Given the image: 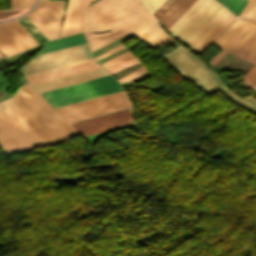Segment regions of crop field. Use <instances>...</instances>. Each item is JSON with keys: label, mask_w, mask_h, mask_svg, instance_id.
I'll return each instance as SVG.
<instances>
[{"label": "crop field", "mask_w": 256, "mask_h": 256, "mask_svg": "<svg viewBox=\"0 0 256 256\" xmlns=\"http://www.w3.org/2000/svg\"><path fill=\"white\" fill-rule=\"evenodd\" d=\"M121 30H119L118 32H120ZM116 32V33H118ZM115 33V34H116ZM86 39H87V42L89 44V46H92L112 35H114L113 33L111 32H104V33H100V34H97V33H84Z\"/></svg>", "instance_id": "crop-field-30"}, {"label": "crop field", "mask_w": 256, "mask_h": 256, "mask_svg": "<svg viewBox=\"0 0 256 256\" xmlns=\"http://www.w3.org/2000/svg\"><path fill=\"white\" fill-rule=\"evenodd\" d=\"M126 34H128V33L123 31V32H121V33H119V34H117V35H115V36H113V37H111V38H109V39H107V40H105V41H103V42L93 46V47H91L90 49H91V51H94V50H96V49H98V48H100V47H102V46H104V45H106V44H108V43H110V42H112V41H114V40H116V39L126 35Z\"/></svg>", "instance_id": "crop-field-37"}, {"label": "crop field", "mask_w": 256, "mask_h": 256, "mask_svg": "<svg viewBox=\"0 0 256 256\" xmlns=\"http://www.w3.org/2000/svg\"><path fill=\"white\" fill-rule=\"evenodd\" d=\"M11 8L32 7L36 0H10Z\"/></svg>", "instance_id": "crop-field-35"}, {"label": "crop field", "mask_w": 256, "mask_h": 256, "mask_svg": "<svg viewBox=\"0 0 256 256\" xmlns=\"http://www.w3.org/2000/svg\"><path fill=\"white\" fill-rule=\"evenodd\" d=\"M38 29L49 39H55L59 34L60 23L40 2L37 8L26 15Z\"/></svg>", "instance_id": "crop-field-13"}, {"label": "crop field", "mask_w": 256, "mask_h": 256, "mask_svg": "<svg viewBox=\"0 0 256 256\" xmlns=\"http://www.w3.org/2000/svg\"><path fill=\"white\" fill-rule=\"evenodd\" d=\"M231 53L256 63V26L237 44Z\"/></svg>", "instance_id": "crop-field-15"}, {"label": "crop field", "mask_w": 256, "mask_h": 256, "mask_svg": "<svg viewBox=\"0 0 256 256\" xmlns=\"http://www.w3.org/2000/svg\"><path fill=\"white\" fill-rule=\"evenodd\" d=\"M163 58L180 76L197 85L208 95L225 86L214 72L209 71L202 61L195 58L182 46L163 56Z\"/></svg>", "instance_id": "crop-field-3"}, {"label": "crop field", "mask_w": 256, "mask_h": 256, "mask_svg": "<svg viewBox=\"0 0 256 256\" xmlns=\"http://www.w3.org/2000/svg\"><path fill=\"white\" fill-rule=\"evenodd\" d=\"M124 47H126V46L121 44V45H119V46H117V47H115V48H113V49H111V50H109V51H107V52H105V53L95 57V58L98 61V60H100V59H102V58H104V57H106V56H108V55H110V54H112V53H114V52L124 48Z\"/></svg>", "instance_id": "crop-field-40"}, {"label": "crop field", "mask_w": 256, "mask_h": 256, "mask_svg": "<svg viewBox=\"0 0 256 256\" xmlns=\"http://www.w3.org/2000/svg\"><path fill=\"white\" fill-rule=\"evenodd\" d=\"M245 22V20L236 19L214 44L221 48Z\"/></svg>", "instance_id": "crop-field-27"}, {"label": "crop field", "mask_w": 256, "mask_h": 256, "mask_svg": "<svg viewBox=\"0 0 256 256\" xmlns=\"http://www.w3.org/2000/svg\"><path fill=\"white\" fill-rule=\"evenodd\" d=\"M195 1L177 0L159 21L169 30Z\"/></svg>", "instance_id": "crop-field-17"}, {"label": "crop field", "mask_w": 256, "mask_h": 256, "mask_svg": "<svg viewBox=\"0 0 256 256\" xmlns=\"http://www.w3.org/2000/svg\"><path fill=\"white\" fill-rule=\"evenodd\" d=\"M124 91L78 102L56 110L68 121H75L98 114L130 107Z\"/></svg>", "instance_id": "crop-field-6"}, {"label": "crop field", "mask_w": 256, "mask_h": 256, "mask_svg": "<svg viewBox=\"0 0 256 256\" xmlns=\"http://www.w3.org/2000/svg\"><path fill=\"white\" fill-rule=\"evenodd\" d=\"M236 19L231 13L222 21V23L204 40V42L195 50L203 54L205 50L224 32V30Z\"/></svg>", "instance_id": "crop-field-21"}, {"label": "crop field", "mask_w": 256, "mask_h": 256, "mask_svg": "<svg viewBox=\"0 0 256 256\" xmlns=\"http://www.w3.org/2000/svg\"><path fill=\"white\" fill-rule=\"evenodd\" d=\"M132 108L70 124L82 136L132 124Z\"/></svg>", "instance_id": "crop-field-10"}, {"label": "crop field", "mask_w": 256, "mask_h": 256, "mask_svg": "<svg viewBox=\"0 0 256 256\" xmlns=\"http://www.w3.org/2000/svg\"><path fill=\"white\" fill-rule=\"evenodd\" d=\"M252 22H256V15H255L254 18L252 19Z\"/></svg>", "instance_id": "crop-field-41"}, {"label": "crop field", "mask_w": 256, "mask_h": 256, "mask_svg": "<svg viewBox=\"0 0 256 256\" xmlns=\"http://www.w3.org/2000/svg\"><path fill=\"white\" fill-rule=\"evenodd\" d=\"M222 8L215 0H197L169 31L188 44Z\"/></svg>", "instance_id": "crop-field-5"}, {"label": "crop field", "mask_w": 256, "mask_h": 256, "mask_svg": "<svg viewBox=\"0 0 256 256\" xmlns=\"http://www.w3.org/2000/svg\"><path fill=\"white\" fill-rule=\"evenodd\" d=\"M7 101L48 145L78 135L30 84L20 87Z\"/></svg>", "instance_id": "crop-field-1"}, {"label": "crop field", "mask_w": 256, "mask_h": 256, "mask_svg": "<svg viewBox=\"0 0 256 256\" xmlns=\"http://www.w3.org/2000/svg\"><path fill=\"white\" fill-rule=\"evenodd\" d=\"M154 22L156 21L149 13V11H147L143 15L135 19L133 22L125 26L122 30L135 36Z\"/></svg>", "instance_id": "crop-field-22"}, {"label": "crop field", "mask_w": 256, "mask_h": 256, "mask_svg": "<svg viewBox=\"0 0 256 256\" xmlns=\"http://www.w3.org/2000/svg\"><path fill=\"white\" fill-rule=\"evenodd\" d=\"M150 75L151 74L147 71V72H145V73H143V74H141V75H139V76H137V77H135V78L125 82V83H123L122 86H123V88H125V87H127V86H129V85H131V84H133V83H135V82H137V81H139V80H141L143 78H146V77H148Z\"/></svg>", "instance_id": "crop-field-39"}, {"label": "crop field", "mask_w": 256, "mask_h": 256, "mask_svg": "<svg viewBox=\"0 0 256 256\" xmlns=\"http://www.w3.org/2000/svg\"><path fill=\"white\" fill-rule=\"evenodd\" d=\"M86 42L82 33L46 42L41 53Z\"/></svg>", "instance_id": "crop-field-20"}, {"label": "crop field", "mask_w": 256, "mask_h": 256, "mask_svg": "<svg viewBox=\"0 0 256 256\" xmlns=\"http://www.w3.org/2000/svg\"><path fill=\"white\" fill-rule=\"evenodd\" d=\"M146 70H147V68L145 66H142V67L134 70L133 72L129 73L128 75L118 79V80L120 81V83H122V82H124V81H126V80H128V79H130V78H132V77H134V76H136V75L146 71Z\"/></svg>", "instance_id": "crop-field-38"}, {"label": "crop field", "mask_w": 256, "mask_h": 256, "mask_svg": "<svg viewBox=\"0 0 256 256\" xmlns=\"http://www.w3.org/2000/svg\"><path fill=\"white\" fill-rule=\"evenodd\" d=\"M87 44H81L70 48L54 51L37 56L28 62L21 70L24 77L92 59Z\"/></svg>", "instance_id": "crop-field-7"}, {"label": "crop field", "mask_w": 256, "mask_h": 256, "mask_svg": "<svg viewBox=\"0 0 256 256\" xmlns=\"http://www.w3.org/2000/svg\"><path fill=\"white\" fill-rule=\"evenodd\" d=\"M255 25V23L247 21L235 35L222 47V49L230 52L235 45L249 32V30Z\"/></svg>", "instance_id": "crop-field-24"}, {"label": "crop field", "mask_w": 256, "mask_h": 256, "mask_svg": "<svg viewBox=\"0 0 256 256\" xmlns=\"http://www.w3.org/2000/svg\"><path fill=\"white\" fill-rule=\"evenodd\" d=\"M122 89L123 88L115 81V79L109 75L53 91L41 93V95L54 108H56Z\"/></svg>", "instance_id": "crop-field-4"}, {"label": "crop field", "mask_w": 256, "mask_h": 256, "mask_svg": "<svg viewBox=\"0 0 256 256\" xmlns=\"http://www.w3.org/2000/svg\"><path fill=\"white\" fill-rule=\"evenodd\" d=\"M37 45L15 20L0 24V52L6 57Z\"/></svg>", "instance_id": "crop-field-9"}, {"label": "crop field", "mask_w": 256, "mask_h": 256, "mask_svg": "<svg viewBox=\"0 0 256 256\" xmlns=\"http://www.w3.org/2000/svg\"><path fill=\"white\" fill-rule=\"evenodd\" d=\"M41 2L62 23L66 2L63 0H42Z\"/></svg>", "instance_id": "crop-field-23"}, {"label": "crop field", "mask_w": 256, "mask_h": 256, "mask_svg": "<svg viewBox=\"0 0 256 256\" xmlns=\"http://www.w3.org/2000/svg\"><path fill=\"white\" fill-rule=\"evenodd\" d=\"M176 0H166L162 6L153 14L158 20L175 3Z\"/></svg>", "instance_id": "crop-field-34"}, {"label": "crop field", "mask_w": 256, "mask_h": 256, "mask_svg": "<svg viewBox=\"0 0 256 256\" xmlns=\"http://www.w3.org/2000/svg\"><path fill=\"white\" fill-rule=\"evenodd\" d=\"M27 9H1L0 10V21L12 19L18 15L25 13Z\"/></svg>", "instance_id": "crop-field-32"}, {"label": "crop field", "mask_w": 256, "mask_h": 256, "mask_svg": "<svg viewBox=\"0 0 256 256\" xmlns=\"http://www.w3.org/2000/svg\"><path fill=\"white\" fill-rule=\"evenodd\" d=\"M136 37L140 38L154 50L171 40V38L158 27L157 23L148 27Z\"/></svg>", "instance_id": "crop-field-16"}, {"label": "crop field", "mask_w": 256, "mask_h": 256, "mask_svg": "<svg viewBox=\"0 0 256 256\" xmlns=\"http://www.w3.org/2000/svg\"><path fill=\"white\" fill-rule=\"evenodd\" d=\"M147 8L154 13L165 0H142Z\"/></svg>", "instance_id": "crop-field-36"}, {"label": "crop field", "mask_w": 256, "mask_h": 256, "mask_svg": "<svg viewBox=\"0 0 256 256\" xmlns=\"http://www.w3.org/2000/svg\"><path fill=\"white\" fill-rule=\"evenodd\" d=\"M0 145L11 151L38 146L0 106Z\"/></svg>", "instance_id": "crop-field-8"}, {"label": "crop field", "mask_w": 256, "mask_h": 256, "mask_svg": "<svg viewBox=\"0 0 256 256\" xmlns=\"http://www.w3.org/2000/svg\"><path fill=\"white\" fill-rule=\"evenodd\" d=\"M147 11L138 0H99L86 11L89 32L111 30L114 33Z\"/></svg>", "instance_id": "crop-field-2"}, {"label": "crop field", "mask_w": 256, "mask_h": 256, "mask_svg": "<svg viewBox=\"0 0 256 256\" xmlns=\"http://www.w3.org/2000/svg\"><path fill=\"white\" fill-rule=\"evenodd\" d=\"M92 1L94 0H68L60 36L80 32L85 29L84 10Z\"/></svg>", "instance_id": "crop-field-11"}, {"label": "crop field", "mask_w": 256, "mask_h": 256, "mask_svg": "<svg viewBox=\"0 0 256 256\" xmlns=\"http://www.w3.org/2000/svg\"><path fill=\"white\" fill-rule=\"evenodd\" d=\"M18 21L28 31V33L35 39V41L38 44L48 40L26 16L18 19Z\"/></svg>", "instance_id": "crop-field-26"}, {"label": "crop field", "mask_w": 256, "mask_h": 256, "mask_svg": "<svg viewBox=\"0 0 256 256\" xmlns=\"http://www.w3.org/2000/svg\"><path fill=\"white\" fill-rule=\"evenodd\" d=\"M222 91L227 96H229L234 102L256 113V99L250 96H247L242 99L228 88H224Z\"/></svg>", "instance_id": "crop-field-25"}, {"label": "crop field", "mask_w": 256, "mask_h": 256, "mask_svg": "<svg viewBox=\"0 0 256 256\" xmlns=\"http://www.w3.org/2000/svg\"><path fill=\"white\" fill-rule=\"evenodd\" d=\"M132 57H134V55L129 50V51H127V52H125V53H123V54H121V55H119V56H117V57H115V58H113V59H111V60L101 64V65L106 70H108V69H110V68H112V67H114V66H116V65H118V64H120V63H122V62H124V61H126L128 59H130V58H132Z\"/></svg>", "instance_id": "crop-field-29"}, {"label": "crop field", "mask_w": 256, "mask_h": 256, "mask_svg": "<svg viewBox=\"0 0 256 256\" xmlns=\"http://www.w3.org/2000/svg\"><path fill=\"white\" fill-rule=\"evenodd\" d=\"M229 13L223 8L188 45L195 50Z\"/></svg>", "instance_id": "crop-field-18"}, {"label": "crop field", "mask_w": 256, "mask_h": 256, "mask_svg": "<svg viewBox=\"0 0 256 256\" xmlns=\"http://www.w3.org/2000/svg\"><path fill=\"white\" fill-rule=\"evenodd\" d=\"M255 12H256V0H250L249 4L247 5V7L245 8V10L243 11L240 17L251 20Z\"/></svg>", "instance_id": "crop-field-33"}, {"label": "crop field", "mask_w": 256, "mask_h": 256, "mask_svg": "<svg viewBox=\"0 0 256 256\" xmlns=\"http://www.w3.org/2000/svg\"><path fill=\"white\" fill-rule=\"evenodd\" d=\"M0 105L9 113V115L30 135V137L39 145H47L41 137L26 123V121L7 103L6 100L1 101ZM1 107V108H2ZM2 108V109H3ZM3 109V110H4ZM4 110V111H5ZM5 111V112H6ZM6 112V113H7Z\"/></svg>", "instance_id": "crop-field-19"}, {"label": "crop field", "mask_w": 256, "mask_h": 256, "mask_svg": "<svg viewBox=\"0 0 256 256\" xmlns=\"http://www.w3.org/2000/svg\"><path fill=\"white\" fill-rule=\"evenodd\" d=\"M236 15H239L248 0H218Z\"/></svg>", "instance_id": "crop-field-28"}, {"label": "crop field", "mask_w": 256, "mask_h": 256, "mask_svg": "<svg viewBox=\"0 0 256 256\" xmlns=\"http://www.w3.org/2000/svg\"><path fill=\"white\" fill-rule=\"evenodd\" d=\"M105 75H109V73L106 70H104L103 68H101V69H97V70H93V71H89V72L69 76V77H66V78H62V79H58V80H54V81L34 85V87L36 88V90L39 93H41V92L53 90V89H56V88L68 86V85H71V84L79 83V82H82V81L94 79V78L105 76Z\"/></svg>", "instance_id": "crop-field-14"}, {"label": "crop field", "mask_w": 256, "mask_h": 256, "mask_svg": "<svg viewBox=\"0 0 256 256\" xmlns=\"http://www.w3.org/2000/svg\"><path fill=\"white\" fill-rule=\"evenodd\" d=\"M96 63L92 59V60H88V61H84V62H81V63L74 64V65H70V66L55 69V70H52V71L37 74V75H34V76L26 77V79L32 85H34V84H38V83H42V82H46V81L66 77V76H69V75H73V74H77V73H81V72L101 68Z\"/></svg>", "instance_id": "crop-field-12"}, {"label": "crop field", "mask_w": 256, "mask_h": 256, "mask_svg": "<svg viewBox=\"0 0 256 256\" xmlns=\"http://www.w3.org/2000/svg\"><path fill=\"white\" fill-rule=\"evenodd\" d=\"M242 87H252L256 91V64L242 78Z\"/></svg>", "instance_id": "crop-field-31"}]
</instances>
